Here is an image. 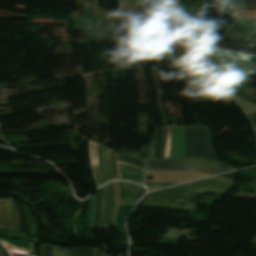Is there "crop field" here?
I'll list each match as a JSON object with an SVG mask.
<instances>
[{
	"mask_svg": "<svg viewBox=\"0 0 256 256\" xmlns=\"http://www.w3.org/2000/svg\"><path fill=\"white\" fill-rule=\"evenodd\" d=\"M120 205H133L136 200L144 193L145 188L125 182H120Z\"/></svg>",
	"mask_w": 256,
	"mask_h": 256,
	"instance_id": "f4fd0767",
	"label": "crop field"
},
{
	"mask_svg": "<svg viewBox=\"0 0 256 256\" xmlns=\"http://www.w3.org/2000/svg\"><path fill=\"white\" fill-rule=\"evenodd\" d=\"M177 124L172 125V153L171 158H177Z\"/></svg>",
	"mask_w": 256,
	"mask_h": 256,
	"instance_id": "dafd665d",
	"label": "crop field"
},
{
	"mask_svg": "<svg viewBox=\"0 0 256 256\" xmlns=\"http://www.w3.org/2000/svg\"><path fill=\"white\" fill-rule=\"evenodd\" d=\"M185 157L217 159L206 127L186 126Z\"/></svg>",
	"mask_w": 256,
	"mask_h": 256,
	"instance_id": "ac0d7876",
	"label": "crop field"
},
{
	"mask_svg": "<svg viewBox=\"0 0 256 256\" xmlns=\"http://www.w3.org/2000/svg\"><path fill=\"white\" fill-rule=\"evenodd\" d=\"M146 163L162 164V165L194 166V167L209 168V169H216V170H222V171L228 170V169H223V168L214 167V166H208V165H202V164H191V163H180V162L147 161Z\"/></svg>",
	"mask_w": 256,
	"mask_h": 256,
	"instance_id": "4a817a6b",
	"label": "crop field"
},
{
	"mask_svg": "<svg viewBox=\"0 0 256 256\" xmlns=\"http://www.w3.org/2000/svg\"><path fill=\"white\" fill-rule=\"evenodd\" d=\"M225 37H231V38L256 42V30L233 26L229 30V32L225 35Z\"/></svg>",
	"mask_w": 256,
	"mask_h": 256,
	"instance_id": "d1516ede",
	"label": "crop field"
},
{
	"mask_svg": "<svg viewBox=\"0 0 256 256\" xmlns=\"http://www.w3.org/2000/svg\"><path fill=\"white\" fill-rule=\"evenodd\" d=\"M52 255L61 256V248L52 245Z\"/></svg>",
	"mask_w": 256,
	"mask_h": 256,
	"instance_id": "e1f06a70",
	"label": "crop field"
},
{
	"mask_svg": "<svg viewBox=\"0 0 256 256\" xmlns=\"http://www.w3.org/2000/svg\"><path fill=\"white\" fill-rule=\"evenodd\" d=\"M72 256H91V247L71 249Z\"/></svg>",
	"mask_w": 256,
	"mask_h": 256,
	"instance_id": "730fd06b",
	"label": "crop field"
},
{
	"mask_svg": "<svg viewBox=\"0 0 256 256\" xmlns=\"http://www.w3.org/2000/svg\"><path fill=\"white\" fill-rule=\"evenodd\" d=\"M146 186H167L171 184H162V183H145Z\"/></svg>",
	"mask_w": 256,
	"mask_h": 256,
	"instance_id": "c035e120",
	"label": "crop field"
},
{
	"mask_svg": "<svg viewBox=\"0 0 256 256\" xmlns=\"http://www.w3.org/2000/svg\"><path fill=\"white\" fill-rule=\"evenodd\" d=\"M186 185H194V186H200V187H205V188H210V189H226V188L231 187L233 185V182L226 181V180H220V179L208 178V179L188 183Z\"/></svg>",
	"mask_w": 256,
	"mask_h": 256,
	"instance_id": "3316defc",
	"label": "crop field"
},
{
	"mask_svg": "<svg viewBox=\"0 0 256 256\" xmlns=\"http://www.w3.org/2000/svg\"><path fill=\"white\" fill-rule=\"evenodd\" d=\"M90 160H91V165L95 177V184L96 187L102 185L101 182V176H100V170H99V164H98V156H97V149H96V143L90 142Z\"/></svg>",
	"mask_w": 256,
	"mask_h": 256,
	"instance_id": "cbeb9de0",
	"label": "crop field"
},
{
	"mask_svg": "<svg viewBox=\"0 0 256 256\" xmlns=\"http://www.w3.org/2000/svg\"><path fill=\"white\" fill-rule=\"evenodd\" d=\"M197 193L199 192L168 188L150 194L143 204L193 209L195 204L184 200Z\"/></svg>",
	"mask_w": 256,
	"mask_h": 256,
	"instance_id": "34b2d1b8",
	"label": "crop field"
},
{
	"mask_svg": "<svg viewBox=\"0 0 256 256\" xmlns=\"http://www.w3.org/2000/svg\"><path fill=\"white\" fill-rule=\"evenodd\" d=\"M118 179H123L138 184H142L144 172L143 169L134 165L116 161ZM143 185V184H142Z\"/></svg>",
	"mask_w": 256,
	"mask_h": 256,
	"instance_id": "dd49c442",
	"label": "crop field"
},
{
	"mask_svg": "<svg viewBox=\"0 0 256 256\" xmlns=\"http://www.w3.org/2000/svg\"><path fill=\"white\" fill-rule=\"evenodd\" d=\"M145 169L189 171V172L203 173V174H209V175L222 172V171L193 168V167L162 166V165H151V164H146Z\"/></svg>",
	"mask_w": 256,
	"mask_h": 256,
	"instance_id": "22f410ed",
	"label": "crop field"
},
{
	"mask_svg": "<svg viewBox=\"0 0 256 256\" xmlns=\"http://www.w3.org/2000/svg\"><path fill=\"white\" fill-rule=\"evenodd\" d=\"M121 152H125V153H129V154H133V155H136V156H140V157L146 158V154L145 153L137 152V151H134V150H131V149H127V148H124V147L122 148ZM121 152H116L115 151L116 154H120V155H124V156H128V157L136 158V159L140 160L142 162V165H143V162L145 160L144 158L132 156V155L121 153ZM120 155H116V160L122 161V162H126V163H130V164H134V165H136L138 167H142L143 168V166H141V162H139L138 160L132 159V158H128V157H124V156H120Z\"/></svg>",
	"mask_w": 256,
	"mask_h": 256,
	"instance_id": "28ad6ade",
	"label": "crop field"
},
{
	"mask_svg": "<svg viewBox=\"0 0 256 256\" xmlns=\"http://www.w3.org/2000/svg\"><path fill=\"white\" fill-rule=\"evenodd\" d=\"M145 171H157V170H145ZM162 172H173V173H184V174H192V175L208 176V175H202V174L185 173V172H175V171H162Z\"/></svg>",
	"mask_w": 256,
	"mask_h": 256,
	"instance_id": "c21b1889",
	"label": "crop field"
},
{
	"mask_svg": "<svg viewBox=\"0 0 256 256\" xmlns=\"http://www.w3.org/2000/svg\"><path fill=\"white\" fill-rule=\"evenodd\" d=\"M107 187H108V191H109V206H110L108 220H110L111 216H112V213H113V209H114V204H113V188H112V184L111 183L107 184Z\"/></svg>",
	"mask_w": 256,
	"mask_h": 256,
	"instance_id": "ae1a2a85",
	"label": "crop field"
},
{
	"mask_svg": "<svg viewBox=\"0 0 256 256\" xmlns=\"http://www.w3.org/2000/svg\"><path fill=\"white\" fill-rule=\"evenodd\" d=\"M175 188L193 189V190H199V191H204V192L224 193V191H221V190H210V189H205V188H200V187H192V186H185V185L176 186Z\"/></svg>",
	"mask_w": 256,
	"mask_h": 256,
	"instance_id": "750c4746",
	"label": "crop field"
},
{
	"mask_svg": "<svg viewBox=\"0 0 256 256\" xmlns=\"http://www.w3.org/2000/svg\"><path fill=\"white\" fill-rule=\"evenodd\" d=\"M178 152L179 157H184V127H178Z\"/></svg>",
	"mask_w": 256,
	"mask_h": 256,
	"instance_id": "00972430",
	"label": "crop field"
},
{
	"mask_svg": "<svg viewBox=\"0 0 256 256\" xmlns=\"http://www.w3.org/2000/svg\"><path fill=\"white\" fill-rule=\"evenodd\" d=\"M210 53L256 62V56H253V55H247V54L218 50V49H213Z\"/></svg>",
	"mask_w": 256,
	"mask_h": 256,
	"instance_id": "d9b57169",
	"label": "crop field"
},
{
	"mask_svg": "<svg viewBox=\"0 0 256 256\" xmlns=\"http://www.w3.org/2000/svg\"><path fill=\"white\" fill-rule=\"evenodd\" d=\"M62 256H70V249L62 248Z\"/></svg>",
	"mask_w": 256,
	"mask_h": 256,
	"instance_id": "03da06ac",
	"label": "crop field"
},
{
	"mask_svg": "<svg viewBox=\"0 0 256 256\" xmlns=\"http://www.w3.org/2000/svg\"><path fill=\"white\" fill-rule=\"evenodd\" d=\"M0 228L19 231L13 200L0 199Z\"/></svg>",
	"mask_w": 256,
	"mask_h": 256,
	"instance_id": "412701ff",
	"label": "crop field"
},
{
	"mask_svg": "<svg viewBox=\"0 0 256 256\" xmlns=\"http://www.w3.org/2000/svg\"><path fill=\"white\" fill-rule=\"evenodd\" d=\"M0 256H6V254H5L4 251L2 250L1 246H0Z\"/></svg>",
	"mask_w": 256,
	"mask_h": 256,
	"instance_id": "5d738f31",
	"label": "crop field"
},
{
	"mask_svg": "<svg viewBox=\"0 0 256 256\" xmlns=\"http://www.w3.org/2000/svg\"><path fill=\"white\" fill-rule=\"evenodd\" d=\"M97 147H98V155H99V163H100V170H101L102 181H103V183H105L104 173H103V166H102V160H101L100 144L97 143Z\"/></svg>",
	"mask_w": 256,
	"mask_h": 256,
	"instance_id": "d32e631a",
	"label": "crop field"
},
{
	"mask_svg": "<svg viewBox=\"0 0 256 256\" xmlns=\"http://www.w3.org/2000/svg\"><path fill=\"white\" fill-rule=\"evenodd\" d=\"M102 160H103V166H104V172H105V179L107 182L111 180V177H110V169H109V161H108V149L104 146H102Z\"/></svg>",
	"mask_w": 256,
	"mask_h": 256,
	"instance_id": "214f88e0",
	"label": "crop field"
},
{
	"mask_svg": "<svg viewBox=\"0 0 256 256\" xmlns=\"http://www.w3.org/2000/svg\"><path fill=\"white\" fill-rule=\"evenodd\" d=\"M246 115L249 117L253 127L256 128V112L255 113H249V114H246Z\"/></svg>",
	"mask_w": 256,
	"mask_h": 256,
	"instance_id": "028f5c9d",
	"label": "crop field"
},
{
	"mask_svg": "<svg viewBox=\"0 0 256 256\" xmlns=\"http://www.w3.org/2000/svg\"><path fill=\"white\" fill-rule=\"evenodd\" d=\"M170 145H171V126H167V138H166L164 157H170Z\"/></svg>",
	"mask_w": 256,
	"mask_h": 256,
	"instance_id": "eef30255",
	"label": "crop field"
},
{
	"mask_svg": "<svg viewBox=\"0 0 256 256\" xmlns=\"http://www.w3.org/2000/svg\"><path fill=\"white\" fill-rule=\"evenodd\" d=\"M197 71L246 83L256 73V63L208 54Z\"/></svg>",
	"mask_w": 256,
	"mask_h": 256,
	"instance_id": "8a807250",
	"label": "crop field"
},
{
	"mask_svg": "<svg viewBox=\"0 0 256 256\" xmlns=\"http://www.w3.org/2000/svg\"><path fill=\"white\" fill-rule=\"evenodd\" d=\"M103 213H104V194H101V211H100V220H99L98 227H101Z\"/></svg>",
	"mask_w": 256,
	"mask_h": 256,
	"instance_id": "5866460e",
	"label": "crop field"
},
{
	"mask_svg": "<svg viewBox=\"0 0 256 256\" xmlns=\"http://www.w3.org/2000/svg\"><path fill=\"white\" fill-rule=\"evenodd\" d=\"M0 241H5L8 245H12V246L31 248V245L26 244L22 241L11 240V239H1V238H0Z\"/></svg>",
	"mask_w": 256,
	"mask_h": 256,
	"instance_id": "d3111659",
	"label": "crop field"
},
{
	"mask_svg": "<svg viewBox=\"0 0 256 256\" xmlns=\"http://www.w3.org/2000/svg\"><path fill=\"white\" fill-rule=\"evenodd\" d=\"M221 36L200 38L197 51L192 61L200 63L203 57L209 52V50L216 44Z\"/></svg>",
	"mask_w": 256,
	"mask_h": 256,
	"instance_id": "5a996713",
	"label": "crop field"
},
{
	"mask_svg": "<svg viewBox=\"0 0 256 256\" xmlns=\"http://www.w3.org/2000/svg\"><path fill=\"white\" fill-rule=\"evenodd\" d=\"M43 245H44V256H52L50 245L49 244H43Z\"/></svg>",
	"mask_w": 256,
	"mask_h": 256,
	"instance_id": "0bd39190",
	"label": "crop field"
},
{
	"mask_svg": "<svg viewBox=\"0 0 256 256\" xmlns=\"http://www.w3.org/2000/svg\"><path fill=\"white\" fill-rule=\"evenodd\" d=\"M109 161H110V169H111V176L112 180L117 179V174H116V165H115V157H114V152L112 148H109Z\"/></svg>",
	"mask_w": 256,
	"mask_h": 256,
	"instance_id": "4177f3b9",
	"label": "crop field"
},
{
	"mask_svg": "<svg viewBox=\"0 0 256 256\" xmlns=\"http://www.w3.org/2000/svg\"><path fill=\"white\" fill-rule=\"evenodd\" d=\"M121 256V255H120Z\"/></svg>",
	"mask_w": 256,
	"mask_h": 256,
	"instance_id": "25e5ab78",
	"label": "crop field"
},
{
	"mask_svg": "<svg viewBox=\"0 0 256 256\" xmlns=\"http://www.w3.org/2000/svg\"><path fill=\"white\" fill-rule=\"evenodd\" d=\"M213 178H218V177H213ZM220 179H225V178H220ZM226 180H232V179H226ZM232 181H234V180H232Z\"/></svg>",
	"mask_w": 256,
	"mask_h": 256,
	"instance_id": "425ffa30",
	"label": "crop field"
},
{
	"mask_svg": "<svg viewBox=\"0 0 256 256\" xmlns=\"http://www.w3.org/2000/svg\"><path fill=\"white\" fill-rule=\"evenodd\" d=\"M99 211H100V194H97L94 227H97L98 225Z\"/></svg>",
	"mask_w": 256,
	"mask_h": 256,
	"instance_id": "1d83c4d3",
	"label": "crop field"
},
{
	"mask_svg": "<svg viewBox=\"0 0 256 256\" xmlns=\"http://www.w3.org/2000/svg\"><path fill=\"white\" fill-rule=\"evenodd\" d=\"M112 184H113V188H114L115 212H114L113 217H112L111 225L114 224L115 215H116V212H117V209H118V206H119V188H118V183H117V181H113Z\"/></svg>",
	"mask_w": 256,
	"mask_h": 256,
	"instance_id": "a9b5d70f",
	"label": "crop field"
},
{
	"mask_svg": "<svg viewBox=\"0 0 256 256\" xmlns=\"http://www.w3.org/2000/svg\"><path fill=\"white\" fill-rule=\"evenodd\" d=\"M103 188H104V192H105V213H104V216H103L102 227H106L105 221H106V217H107V213H108V198H107V187H106V185L103 186Z\"/></svg>",
	"mask_w": 256,
	"mask_h": 256,
	"instance_id": "120bbe31",
	"label": "crop field"
},
{
	"mask_svg": "<svg viewBox=\"0 0 256 256\" xmlns=\"http://www.w3.org/2000/svg\"><path fill=\"white\" fill-rule=\"evenodd\" d=\"M256 7V0H250Z\"/></svg>",
	"mask_w": 256,
	"mask_h": 256,
	"instance_id": "d23c7cc5",
	"label": "crop field"
},
{
	"mask_svg": "<svg viewBox=\"0 0 256 256\" xmlns=\"http://www.w3.org/2000/svg\"><path fill=\"white\" fill-rule=\"evenodd\" d=\"M153 145H154V141L150 144V147H149V157H152V153H153Z\"/></svg>",
	"mask_w": 256,
	"mask_h": 256,
	"instance_id": "b54c1fbb",
	"label": "crop field"
},
{
	"mask_svg": "<svg viewBox=\"0 0 256 256\" xmlns=\"http://www.w3.org/2000/svg\"><path fill=\"white\" fill-rule=\"evenodd\" d=\"M93 252H94V256H111V255L101 253L100 250L94 249V248H93Z\"/></svg>",
	"mask_w": 256,
	"mask_h": 256,
	"instance_id": "b80d0937",
	"label": "crop field"
},
{
	"mask_svg": "<svg viewBox=\"0 0 256 256\" xmlns=\"http://www.w3.org/2000/svg\"><path fill=\"white\" fill-rule=\"evenodd\" d=\"M96 194L90 196L89 210L87 217V225L93 226L94 210H95Z\"/></svg>",
	"mask_w": 256,
	"mask_h": 256,
	"instance_id": "92a150f3",
	"label": "crop field"
},
{
	"mask_svg": "<svg viewBox=\"0 0 256 256\" xmlns=\"http://www.w3.org/2000/svg\"><path fill=\"white\" fill-rule=\"evenodd\" d=\"M231 10L256 9L249 1H229Z\"/></svg>",
	"mask_w": 256,
	"mask_h": 256,
	"instance_id": "bc2a9ffb",
	"label": "crop field"
},
{
	"mask_svg": "<svg viewBox=\"0 0 256 256\" xmlns=\"http://www.w3.org/2000/svg\"><path fill=\"white\" fill-rule=\"evenodd\" d=\"M149 160H161V161H180V162H192V163H202V164H208V165H214V166H221V167H227L231 169H235L232 166L218 162V161H211V160H201V159H165V158H151Z\"/></svg>",
	"mask_w": 256,
	"mask_h": 256,
	"instance_id": "5142ce71",
	"label": "crop field"
},
{
	"mask_svg": "<svg viewBox=\"0 0 256 256\" xmlns=\"http://www.w3.org/2000/svg\"><path fill=\"white\" fill-rule=\"evenodd\" d=\"M146 175H152L153 179L145 182H165V183H180L189 180L201 178L200 176L171 174L162 172H146Z\"/></svg>",
	"mask_w": 256,
	"mask_h": 256,
	"instance_id": "d8731c3e",
	"label": "crop field"
},
{
	"mask_svg": "<svg viewBox=\"0 0 256 256\" xmlns=\"http://www.w3.org/2000/svg\"><path fill=\"white\" fill-rule=\"evenodd\" d=\"M216 47L256 54V43L222 37Z\"/></svg>",
	"mask_w": 256,
	"mask_h": 256,
	"instance_id": "e52e79f7",
	"label": "crop field"
},
{
	"mask_svg": "<svg viewBox=\"0 0 256 256\" xmlns=\"http://www.w3.org/2000/svg\"><path fill=\"white\" fill-rule=\"evenodd\" d=\"M234 25L235 26H241V27L256 29V23L255 22H251V21L238 20Z\"/></svg>",
	"mask_w": 256,
	"mask_h": 256,
	"instance_id": "bd1437ed",
	"label": "crop field"
},
{
	"mask_svg": "<svg viewBox=\"0 0 256 256\" xmlns=\"http://www.w3.org/2000/svg\"><path fill=\"white\" fill-rule=\"evenodd\" d=\"M15 207L19 221L20 232L29 233V225L24 214L23 206L15 203Z\"/></svg>",
	"mask_w": 256,
	"mask_h": 256,
	"instance_id": "733c2abd",
	"label": "crop field"
}]
</instances>
